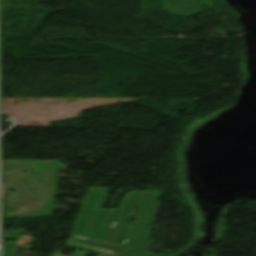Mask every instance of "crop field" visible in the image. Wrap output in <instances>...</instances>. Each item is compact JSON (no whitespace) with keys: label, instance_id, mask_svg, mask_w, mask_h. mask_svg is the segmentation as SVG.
I'll return each mask as SVG.
<instances>
[{"label":"crop field","instance_id":"8a807250","mask_svg":"<svg viewBox=\"0 0 256 256\" xmlns=\"http://www.w3.org/2000/svg\"><path fill=\"white\" fill-rule=\"evenodd\" d=\"M110 191L89 189L71 234L119 245L142 192L125 194L118 211L103 210ZM161 192L144 193L135 223L128 230L126 247L146 251Z\"/></svg>","mask_w":256,"mask_h":256},{"label":"crop field","instance_id":"ac0d7876","mask_svg":"<svg viewBox=\"0 0 256 256\" xmlns=\"http://www.w3.org/2000/svg\"><path fill=\"white\" fill-rule=\"evenodd\" d=\"M68 247L77 249L72 256H85L88 252L98 254L97 256H112L124 250L122 248L94 243L74 237H72ZM80 250H84V252H80Z\"/></svg>","mask_w":256,"mask_h":256},{"label":"crop field","instance_id":"34b2d1b8","mask_svg":"<svg viewBox=\"0 0 256 256\" xmlns=\"http://www.w3.org/2000/svg\"><path fill=\"white\" fill-rule=\"evenodd\" d=\"M75 237V236H74ZM79 238V237H78ZM83 239V238H82ZM87 240V239H86ZM91 241V240H90ZM95 242V241H94ZM144 252H139V251H134V250H129V249H126L125 251L115 255V256H136V255H139V254H142Z\"/></svg>","mask_w":256,"mask_h":256}]
</instances>
